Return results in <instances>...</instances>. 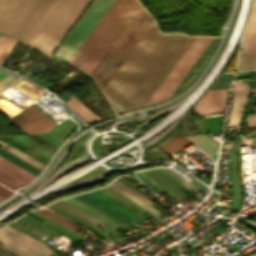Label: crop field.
<instances>
[{
  "label": "crop field",
  "mask_w": 256,
  "mask_h": 256,
  "mask_svg": "<svg viewBox=\"0 0 256 256\" xmlns=\"http://www.w3.org/2000/svg\"><path fill=\"white\" fill-rule=\"evenodd\" d=\"M227 89L208 90L192 110L204 115L224 110Z\"/></svg>",
  "instance_id": "3316defc"
},
{
  "label": "crop field",
  "mask_w": 256,
  "mask_h": 256,
  "mask_svg": "<svg viewBox=\"0 0 256 256\" xmlns=\"http://www.w3.org/2000/svg\"><path fill=\"white\" fill-rule=\"evenodd\" d=\"M153 20L141 9L91 74L101 89Z\"/></svg>",
  "instance_id": "412701ff"
},
{
  "label": "crop field",
  "mask_w": 256,
  "mask_h": 256,
  "mask_svg": "<svg viewBox=\"0 0 256 256\" xmlns=\"http://www.w3.org/2000/svg\"><path fill=\"white\" fill-rule=\"evenodd\" d=\"M0 184L4 185L12 190L16 189L19 186L24 185L1 171H0Z\"/></svg>",
  "instance_id": "4177f3b9"
},
{
  "label": "crop field",
  "mask_w": 256,
  "mask_h": 256,
  "mask_svg": "<svg viewBox=\"0 0 256 256\" xmlns=\"http://www.w3.org/2000/svg\"><path fill=\"white\" fill-rule=\"evenodd\" d=\"M212 39L213 37H196L146 105L169 98Z\"/></svg>",
  "instance_id": "dd49c442"
},
{
  "label": "crop field",
  "mask_w": 256,
  "mask_h": 256,
  "mask_svg": "<svg viewBox=\"0 0 256 256\" xmlns=\"http://www.w3.org/2000/svg\"><path fill=\"white\" fill-rule=\"evenodd\" d=\"M37 212H39V213H41V214H43V215H45V216H47V217L57 221V222L65 225L66 227L72 229L75 232L78 231L79 229H81L78 226H76L75 224H73L72 222H70V221H68V220H66V219H64V218H62V217H60V216H58V215L48 211V210L41 209V210H39Z\"/></svg>",
  "instance_id": "dafd665d"
},
{
  "label": "crop field",
  "mask_w": 256,
  "mask_h": 256,
  "mask_svg": "<svg viewBox=\"0 0 256 256\" xmlns=\"http://www.w3.org/2000/svg\"><path fill=\"white\" fill-rule=\"evenodd\" d=\"M256 53V41L243 42L240 55Z\"/></svg>",
  "instance_id": "eef30255"
},
{
  "label": "crop field",
  "mask_w": 256,
  "mask_h": 256,
  "mask_svg": "<svg viewBox=\"0 0 256 256\" xmlns=\"http://www.w3.org/2000/svg\"><path fill=\"white\" fill-rule=\"evenodd\" d=\"M0 146H1L2 148L6 149L7 151L13 153L14 155L20 157L21 159H23V160H25V161L31 163L32 165H34V166H36V167H38V168H40V169H42V170H43L44 167H45V166L39 164L38 162L32 160L31 158L25 156L24 154L18 152L17 150L11 148L10 146H8V145H6V144H4V143H2V142H0Z\"/></svg>",
  "instance_id": "a9b5d70f"
},
{
  "label": "crop field",
  "mask_w": 256,
  "mask_h": 256,
  "mask_svg": "<svg viewBox=\"0 0 256 256\" xmlns=\"http://www.w3.org/2000/svg\"><path fill=\"white\" fill-rule=\"evenodd\" d=\"M111 188H113L115 191H117L118 193L122 194L123 196L131 199L132 201H134L135 203H137L138 205L142 206L143 208H145L146 210H148L150 213L153 214V216H155L157 219H159L160 221H163L161 218H159L156 214L157 211L155 208L151 207V203L149 200H147L145 197H143L142 195H140L139 193H137L136 191H134L133 189H131L130 187H128L127 185L123 184L122 182H120L119 180H115L111 185H109ZM108 186V187H109Z\"/></svg>",
  "instance_id": "d1516ede"
},
{
  "label": "crop field",
  "mask_w": 256,
  "mask_h": 256,
  "mask_svg": "<svg viewBox=\"0 0 256 256\" xmlns=\"http://www.w3.org/2000/svg\"><path fill=\"white\" fill-rule=\"evenodd\" d=\"M165 172H167L169 175H171L173 178L178 180L180 183H182L184 186H186L189 190H191L193 193L196 191L194 188H192L190 185H188L186 182H184L182 179H180L178 176H176L174 173H172L167 168H162Z\"/></svg>",
  "instance_id": "d3111659"
},
{
  "label": "crop field",
  "mask_w": 256,
  "mask_h": 256,
  "mask_svg": "<svg viewBox=\"0 0 256 256\" xmlns=\"http://www.w3.org/2000/svg\"><path fill=\"white\" fill-rule=\"evenodd\" d=\"M59 97L64 101V100H66V99H68V98H70V97H72V96L69 94L68 91H66V92H64L63 94H61ZM68 100H69V99H68ZM66 101H67V100H66ZM64 102H65V101H64Z\"/></svg>",
  "instance_id": "1d83c4d3"
},
{
  "label": "crop field",
  "mask_w": 256,
  "mask_h": 256,
  "mask_svg": "<svg viewBox=\"0 0 256 256\" xmlns=\"http://www.w3.org/2000/svg\"><path fill=\"white\" fill-rule=\"evenodd\" d=\"M140 7L135 0H115L70 63L91 74Z\"/></svg>",
  "instance_id": "ac0d7876"
},
{
  "label": "crop field",
  "mask_w": 256,
  "mask_h": 256,
  "mask_svg": "<svg viewBox=\"0 0 256 256\" xmlns=\"http://www.w3.org/2000/svg\"><path fill=\"white\" fill-rule=\"evenodd\" d=\"M92 194H94L95 196L103 199L104 201L112 204L113 206H115L116 208L120 209L121 211H123L124 213H126L127 215H129L131 218L135 219V220H140L141 222L143 221L142 219H140L138 216H136L134 213H132L131 211H129L128 209H126L124 206H122L121 204L117 203L116 201L112 200L111 198L103 195L102 193L94 190L91 192Z\"/></svg>",
  "instance_id": "92a150f3"
},
{
  "label": "crop field",
  "mask_w": 256,
  "mask_h": 256,
  "mask_svg": "<svg viewBox=\"0 0 256 256\" xmlns=\"http://www.w3.org/2000/svg\"><path fill=\"white\" fill-rule=\"evenodd\" d=\"M247 40H256V33L244 34L243 41H247Z\"/></svg>",
  "instance_id": "750c4746"
},
{
  "label": "crop field",
  "mask_w": 256,
  "mask_h": 256,
  "mask_svg": "<svg viewBox=\"0 0 256 256\" xmlns=\"http://www.w3.org/2000/svg\"><path fill=\"white\" fill-rule=\"evenodd\" d=\"M4 198L0 197V201L3 200Z\"/></svg>",
  "instance_id": "c21b1889"
},
{
  "label": "crop field",
  "mask_w": 256,
  "mask_h": 256,
  "mask_svg": "<svg viewBox=\"0 0 256 256\" xmlns=\"http://www.w3.org/2000/svg\"><path fill=\"white\" fill-rule=\"evenodd\" d=\"M114 0H95L54 57L69 62Z\"/></svg>",
  "instance_id": "e52e79f7"
},
{
  "label": "crop field",
  "mask_w": 256,
  "mask_h": 256,
  "mask_svg": "<svg viewBox=\"0 0 256 256\" xmlns=\"http://www.w3.org/2000/svg\"><path fill=\"white\" fill-rule=\"evenodd\" d=\"M67 104L77 112L83 119L88 122H92L97 119H101L95 116L91 111H89L81 102H79L75 97L67 101Z\"/></svg>",
  "instance_id": "d9b57169"
},
{
  "label": "crop field",
  "mask_w": 256,
  "mask_h": 256,
  "mask_svg": "<svg viewBox=\"0 0 256 256\" xmlns=\"http://www.w3.org/2000/svg\"><path fill=\"white\" fill-rule=\"evenodd\" d=\"M9 122L28 134L43 133L56 125L50 116L34 104Z\"/></svg>",
  "instance_id": "5a996713"
},
{
  "label": "crop field",
  "mask_w": 256,
  "mask_h": 256,
  "mask_svg": "<svg viewBox=\"0 0 256 256\" xmlns=\"http://www.w3.org/2000/svg\"><path fill=\"white\" fill-rule=\"evenodd\" d=\"M0 196H2V197H4V198H6V197H7V196H5V195H3V194H1V193H0Z\"/></svg>",
  "instance_id": "c035e120"
},
{
  "label": "crop field",
  "mask_w": 256,
  "mask_h": 256,
  "mask_svg": "<svg viewBox=\"0 0 256 256\" xmlns=\"http://www.w3.org/2000/svg\"><path fill=\"white\" fill-rule=\"evenodd\" d=\"M249 127L256 126V120L248 121Z\"/></svg>",
  "instance_id": "5866460e"
},
{
  "label": "crop field",
  "mask_w": 256,
  "mask_h": 256,
  "mask_svg": "<svg viewBox=\"0 0 256 256\" xmlns=\"http://www.w3.org/2000/svg\"><path fill=\"white\" fill-rule=\"evenodd\" d=\"M64 202L62 200H60V201L56 202L55 204H57V205L65 208V209L73 212L78 217H80V218H82V219H84V220H86V221H88V222H90V223H92V224H94L96 226L99 225V226L103 227L100 221H98L95 218H93L92 216H90V215H88V214H86V213H84V212H82V211H80V210H78V209H76V208L66 204L67 202L66 203H64Z\"/></svg>",
  "instance_id": "bc2a9ffb"
},
{
  "label": "crop field",
  "mask_w": 256,
  "mask_h": 256,
  "mask_svg": "<svg viewBox=\"0 0 256 256\" xmlns=\"http://www.w3.org/2000/svg\"><path fill=\"white\" fill-rule=\"evenodd\" d=\"M16 40L6 36L2 44L0 45V65L4 62L5 58L13 48Z\"/></svg>",
  "instance_id": "00972430"
},
{
  "label": "crop field",
  "mask_w": 256,
  "mask_h": 256,
  "mask_svg": "<svg viewBox=\"0 0 256 256\" xmlns=\"http://www.w3.org/2000/svg\"><path fill=\"white\" fill-rule=\"evenodd\" d=\"M51 0H0V31L21 41Z\"/></svg>",
  "instance_id": "f4fd0767"
},
{
  "label": "crop field",
  "mask_w": 256,
  "mask_h": 256,
  "mask_svg": "<svg viewBox=\"0 0 256 256\" xmlns=\"http://www.w3.org/2000/svg\"><path fill=\"white\" fill-rule=\"evenodd\" d=\"M1 249V248H0ZM3 250V249H2ZM2 250H0V253H2V254H4V255H6V256H12V255H10V254H8V253H6V252H4V251H2Z\"/></svg>",
  "instance_id": "028f5c9d"
},
{
  "label": "crop field",
  "mask_w": 256,
  "mask_h": 256,
  "mask_svg": "<svg viewBox=\"0 0 256 256\" xmlns=\"http://www.w3.org/2000/svg\"><path fill=\"white\" fill-rule=\"evenodd\" d=\"M8 74H9V73L0 70V80H1L2 78H4L5 76H7Z\"/></svg>",
  "instance_id": "d32e631a"
},
{
  "label": "crop field",
  "mask_w": 256,
  "mask_h": 256,
  "mask_svg": "<svg viewBox=\"0 0 256 256\" xmlns=\"http://www.w3.org/2000/svg\"><path fill=\"white\" fill-rule=\"evenodd\" d=\"M242 81H236L235 85H234V89H238V88H246L248 87L247 84H241Z\"/></svg>",
  "instance_id": "bd1437ed"
},
{
  "label": "crop field",
  "mask_w": 256,
  "mask_h": 256,
  "mask_svg": "<svg viewBox=\"0 0 256 256\" xmlns=\"http://www.w3.org/2000/svg\"><path fill=\"white\" fill-rule=\"evenodd\" d=\"M250 256H256L255 254H252V255H250Z\"/></svg>",
  "instance_id": "03da06ac"
},
{
  "label": "crop field",
  "mask_w": 256,
  "mask_h": 256,
  "mask_svg": "<svg viewBox=\"0 0 256 256\" xmlns=\"http://www.w3.org/2000/svg\"><path fill=\"white\" fill-rule=\"evenodd\" d=\"M185 137L214 160L217 144L214 143L210 138L205 135H193Z\"/></svg>",
  "instance_id": "5142ce71"
},
{
  "label": "crop field",
  "mask_w": 256,
  "mask_h": 256,
  "mask_svg": "<svg viewBox=\"0 0 256 256\" xmlns=\"http://www.w3.org/2000/svg\"><path fill=\"white\" fill-rule=\"evenodd\" d=\"M0 170L25 183L26 185L34 178H36V176L30 174L29 172L23 170L22 168L14 165L2 157H0Z\"/></svg>",
  "instance_id": "cbeb9de0"
},
{
  "label": "crop field",
  "mask_w": 256,
  "mask_h": 256,
  "mask_svg": "<svg viewBox=\"0 0 256 256\" xmlns=\"http://www.w3.org/2000/svg\"><path fill=\"white\" fill-rule=\"evenodd\" d=\"M253 69H256V54L240 57L237 71Z\"/></svg>",
  "instance_id": "214f88e0"
},
{
  "label": "crop field",
  "mask_w": 256,
  "mask_h": 256,
  "mask_svg": "<svg viewBox=\"0 0 256 256\" xmlns=\"http://www.w3.org/2000/svg\"><path fill=\"white\" fill-rule=\"evenodd\" d=\"M0 156L6 158L7 160L15 163L16 165L22 167L23 169L29 171L30 173H32L36 176L41 172L37 168L31 166L30 164L26 163L25 161L19 159L18 157L10 154L9 152H7L1 148H0Z\"/></svg>",
  "instance_id": "733c2abd"
},
{
  "label": "crop field",
  "mask_w": 256,
  "mask_h": 256,
  "mask_svg": "<svg viewBox=\"0 0 256 256\" xmlns=\"http://www.w3.org/2000/svg\"><path fill=\"white\" fill-rule=\"evenodd\" d=\"M248 95H249V88L234 90L231 113L243 111L244 105L248 99ZM241 115H242V112L230 114L228 126L238 125Z\"/></svg>",
  "instance_id": "22f410ed"
},
{
  "label": "crop field",
  "mask_w": 256,
  "mask_h": 256,
  "mask_svg": "<svg viewBox=\"0 0 256 256\" xmlns=\"http://www.w3.org/2000/svg\"><path fill=\"white\" fill-rule=\"evenodd\" d=\"M256 119V114L249 118V120Z\"/></svg>",
  "instance_id": "0bd39190"
},
{
  "label": "crop field",
  "mask_w": 256,
  "mask_h": 256,
  "mask_svg": "<svg viewBox=\"0 0 256 256\" xmlns=\"http://www.w3.org/2000/svg\"><path fill=\"white\" fill-rule=\"evenodd\" d=\"M189 143L191 142L187 140L184 136L174 137L168 143L159 147V149H161L164 153L168 155Z\"/></svg>",
  "instance_id": "4a817a6b"
},
{
  "label": "crop field",
  "mask_w": 256,
  "mask_h": 256,
  "mask_svg": "<svg viewBox=\"0 0 256 256\" xmlns=\"http://www.w3.org/2000/svg\"><path fill=\"white\" fill-rule=\"evenodd\" d=\"M0 192L6 194V195H8V196L12 195V192H10V191H8V190L2 188V187H0Z\"/></svg>",
  "instance_id": "120bbe31"
},
{
  "label": "crop field",
  "mask_w": 256,
  "mask_h": 256,
  "mask_svg": "<svg viewBox=\"0 0 256 256\" xmlns=\"http://www.w3.org/2000/svg\"><path fill=\"white\" fill-rule=\"evenodd\" d=\"M0 242L20 256H49L54 253L45 244L8 225L0 229Z\"/></svg>",
  "instance_id": "d8731c3e"
},
{
  "label": "crop field",
  "mask_w": 256,
  "mask_h": 256,
  "mask_svg": "<svg viewBox=\"0 0 256 256\" xmlns=\"http://www.w3.org/2000/svg\"><path fill=\"white\" fill-rule=\"evenodd\" d=\"M4 38H5V35H3V34L0 33V44H1V42L3 41Z\"/></svg>",
  "instance_id": "e1f06a70"
},
{
  "label": "crop field",
  "mask_w": 256,
  "mask_h": 256,
  "mask_svg": "<svg viewBox=\"0 0 256 256\" xmlns=\"http://www.w3.org/2000/svg\"><path fill=\"white\" fill-rule=\"evenodd\" d=\"M1 247V246H0ZM1 248H3V247H1ZM3 249H5V248H3ZM6 251H8V252H10V253H12V254H14V255H16L15 253H13V252H11V251H9V250H7V249H5ZM16 256H18V255H16Z\"/></svg>",
  "instance_id": "b80d0937"
},
{
  "label": "crop field",
  "mask_w": 256,
  "mask_h": 256,
  "mask_svg": "<svg viewBox=\"0 0 256 256\" xmlns=\"http://www.w3.org/2000/svg\"><path fill=\"white\" fill-rule=\"evenodd\" d=\"M256 32V1L253 2L245 33Z\"/></svg>",
  "instance_id": "730fd06b"
},
{
  "label": "crop field",
  "mask_w": 256,
  "mask_h": 256,
  "mask_svg": "<svg viewBox=\"0 0 256 256\" xmlns=\"http://www.w3.org/2000/svg\"><path fill=\"white\" fill-rule=\"evenodd\" d=\"M194 38L161 35L153 21L103 92L116 108L131 110L144 106Z\"/></svg>",
  "instance_id": "8a807250"
},
{
  "label": "crop field",
  "mask_w": 256,
  "mask_h": 256,
  "mask_svg": "<svg viewBox=\"0 0 256 256\" xmlns=\"http://www.w3.org/2000/svg\"><path fill=\"white\" fill-rule=\"evenodd\" d=\"M76 198L96 207L97 209L101 210L102 212L106 213L107 215L117 219L119 222H121L123 225L127 226L125 223L129 225H133L137 223L135 220L131 219L127 215L121 213L119 210H117L115 207L107 204L106 202L101 201L97 197L93 196L91 193L87 192L78 196H75ZM116 220V221H117ZM134 226V225H133ZM135 226H138L135 224ZM129 229H131L129 226H127ZM140 227V226H138ZM133 230V229H131Z\"/></svg>",
  "instance_id": "28ad6ade"
},
{
  "label": "crop field",
  "mask_w": 256,
  "mask_h": 256,
  "mask_svg": "<svg viewBox=\"0 0 256 256\" xmlns=\"http://www.w3.org/2000/svg\"><path fill=\"white\" fill-rule=\"evenodd\" d=\"M17 79H19V78L12 74L5 77L3 80L0 81V91L5 89L6 87H8L10 84L15 82Z\"/></svg>",
  "instance_id": "ae1a2a85"
},
{
  "label": "crop field",
  "mask_w": 256,
  "mask_h": 256,
  "mask_svg": "<svg viewBox=\"0 0 256 256\" xmlns=\"http://www.w3.org/2000/svg\"><path fill=\"white\" fill-rule=\"evenodd\" d=\"M88 2L52 0L22 42L49 55Z\"/></svg>",
  "instance_id": "34b2d1b8"
}]
</instances>
